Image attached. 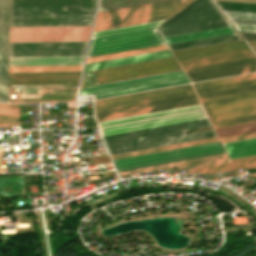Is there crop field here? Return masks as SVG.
Segmentation results:
<instances>
[{
  "label": "crop field",
  "instance_id": "crop-field-1",
  "mask_svg": "<svg viewBox=\"0 0 256 256\" xmlns=\"http://www.w3.org/2000/svg\"><path fill=\"white\" fill-rule=\"evenodd\" d=\"M193 85L215 128L256 121V72Z\"/></svg>",
  "mask_w": 256,
  "mask_h": 256
},
{
  "label": "crop field",
  "instance_id": "crop-field-2",
  "mask_svg": "<svg viewBox=\"0 0 256 256\" xmlns=\"http://www.w3.org/2000/svg\"><path fill=\"white\" fill-rule=\"evenodd\" d=\"M97 0H10V27L91 25Z\"/></svg>",
  "mask_w": 256,
  "mask_h": 256
},
{
  "label": "crop field",
  "instance_id": "crop-field-3",
  "mask_svg": "<svg viewBox=\"0 0 256 256\" xmlns=\"http://www.w3.org/2000/svg\"><path fill=\"white\" fill-rule=\"evenodd\" d=\"M199 103L192 85L187 84L97 100L94 107L99 122Z\"/></svg>",
  "mask_w": 256,
  "mask_h": 256
},
{
  "label": "crop field",
  "instance_id": "crop-field-4",
  "mask_svg": "<svg viewBox=\"0 0 256 256\" xmlns=\"http://www.w3.org/2000/svg\"><path fill=\"white\" fill-rule=\"evenodd\" d=\"M211 125L209 120H200L110 136L103 141L109 155L215 137L214 130L186 135L184 130Z\"/></svg>",
  "mask_w": 256,
  "mask_h": 256
},
{
  "label": "crop field",
  "instance_id": "crop-field-5",
  "mask_svg": "<svg viewBox=\"0 0 256 256\" xmlns=\"http://www.w3.org/2000/svg\"><path fill=\"white\" fill-rule=\"evenodd\" d=\"M164 21V20H163ZM163 21L151 22L135 26L123 27L107 31L95 32L92 38L105 35L117 34L133 30L145 29L159 26ZM156 28L133 31L117 35L94 38L91 40L88 56L112 53L139 47L162 44L163 41L156 33Z\"/></svg>",
  "mask_w": 256,
  "mask_h": 256
},
{
  "label": "crop field",
  "instance_id": "crop-field-6",
  "mask_svg": "<svg viewBox=\"0 0 256 256\" xmlns=\"http://www.w3.org/2000/svg\"><path fill=\"white\" fill-rule=\"evenodd\" d=\"M189 1L190 0H170L100 12L98 13L93 32L163 20L176 13Z\"/></svg>",
  "mask_w": 256,
  "mask_h": 256
},
{
  "label": "crop field",
  "instance_id": "crop-field-7",
  "mask_svg": "<svg viewBox=\"0 0 256 256\" xmlns=\"http://www.w3.org/2000/svg\"><path fill=\"white\" fill-rule=\"evenodd\" d=\"M207 117L201 104L155 113L99 122L101 135L151 128Z\"/></svg>",
  "mask_w": 256,
  "mask_h": 256
},
{
  "label": "crop field",
  "instance_id": "crop-field-8",
  "mask_svg": "<svg viewBox=\"0 0 256 256\" xmlns=\"http://www.w3.org/2000/svg\"><path fill=\"white\" fill-rule=\"evenodd\" d=\"M173 57L84 72L82 87L180 71Z\"/></svg>",
  "mask_w": 256,
  "mask_h": 256
},
{
  "label": "crop field",
  "instance_id": "crop-field-9",
  "mask_svg": "<svg viewBox=\"0 0 256 256\" xmlns=\"http://www.w3.org/2000/svg\"><path fill=\"white\" fill-rule=\"evenodd\" d=\"M223 152L224 150L220 142H217L126 159L114 160L112 162L116 170L119 171Z\"/></svg>",
  "mask_w": 256,
  "mask_h": 256
},
{
  "label": "crop field",
  "instance_id": "crop-field-10",
  "mask_svg": "<svg viewBox=\"0 0 256 256\" xmlns=\"http://www.w3.org/2000/svg\"><path fill=\"white\" fill-rule=\"evenodd\" d=\"M91 26L10 28V42L88 41Z\"/></svg>",
  "mask_w": 256,
  "mask_h": 256
},
{
  "label": "crop field",
  "instance_id": "crop-field-11",
  "mask_svg": "<svg viewBox=\"0 0 256 256\" xmlns=\"http://www.w3.org/2000/svg\"><path fill=\"white\" fill-rule=\"evenodd\" d=\"M87 43H10V57L84 56Z\"/></svg>",
  "mask_w": 256,
  "mask_h": 256
},
{
  "label": "crop field",
  "instance_id": "crop-field-12",
  "mask_svg": "<svg viewBox=\"0 0 256 256\" xmlns=\"http://www.w3.org/2000/svg\"><path fill=\"white\" fill-rule=\"evenodd\" d=\"M192 82L256 71V58H246L184 69Z\"/></svg>",
  "mask_w": 256,
  "mask_h": 256
},
{
  "label": "crop field",
  "instance_id": "crop-field-13",
  "mask_svg": "<svg viewBox=\"0 0 256 256\" xmlns=\"http://www.w3.org/2000/svg\"><path fill=\"white\" fill-rule=\"evenodd\" d=\"M187 82H189V80L187 79L185 74H182V75L152 79L147 81L117 85L112 87L82 91L80 92L79 95L96 94L94 98L96 99V98L108 97V96L125 94L130 92L142 91L147 89H153L158 87L170 86L175 84L187 83Z\"/></svg>",
  "mask_w": 256,
  "mask_h": 256
},
{
  "label": "crop field",
  "instance_id": "crop-field-14",
  "mask_svg": "<svg viewBox=\"0 0 256 256\" xmlns=\"http://www.w3.org/2000/svg\"><path fill=\"white\" fill-rule=\"evenodd\" d=\"M0 102L8 103V0H0Z\"/></svg>",
  "mask_w": 256,
  "mask_h": 256
},
{
  "label": "crop field",
  "instance_id": "crop-field-15",
  "mask_svg": "<svg viewBox=\"0 0 256 256\" xmlns=\"http://www.w3.org/2000/svg\"><path fill=\"white\" fill-rule=\"evenodd\" d=\"M246 49L247 47L245 46V44L241 40H238V41L208 45L203 47L173 51L172 54L177 59V61H180V60H186V59H192V58H198V57H204V56H210V55H216V54H222V53H228V52H234V51H240V50H246Z\"/></svg>",
  "mask_w": 256,
  "mask_h": 256
},
{
  "label": "crop field",
  "instance_id": "crop-field-16",
  "mask_svg": "<svg viewBox=\"0 0 256 256\" xmlns=\"http://www.w3.org/2000/svg\"><path fill=\"white\" fill-rule=\"evenodd\" d=\"M226 161H229V159L226 153H223V154L211 155V156L200 157L195 159L138 168L133 170L121 171L119 173L120 175H123V174H129L134 172H140V171L146 172V171L158 170V169L175 167V166H178V170H180V169H185L190 167H196V166H202V165H208V164H214V163H220V162H226Z\"/></svg>",
  "mask_w": 256,
  "mask_h": 256
},
{
  "label": "crop field",
  "instance_id": "crop-field-17",
  "mask_svg": "<svg viewBox=\"0 0 256 256\" xmlns=\"http://www.w3.org/2000/svg\"><path fill=\"white\" fill-rule=\"evenodd\" d=\"M79 73L10 75V84L78 83Z\"/></svg>",
  "mask_w": 256,
  "mask_h": 256
},
{
  "label": "crop field",
  "instance_id": "crop-field-18",
  "mask_svg": "<svg viewBox=\"0 0 256 256\" xmlns=\"http://www.w3.org/2000/svg\"><path fill=\"white\" fill-rule=\"evenodd\" d=\"M84 57L10 58V66L82 65Z\"/></svg>",
  "mask_w": 256,
  "mask_h": 256
},
{
  "label": "crop field",
  "instance_id": "crop-field-19",
  "mask_svg": "<svg viewBox=\"0 0 256 256\" xmlns=\"http://www.w3.org/2000/svg\"><path fill=\"white\" fill-rule=\"evenodd\" d=\"M231 162L210 165L205 167L193 168L189 170V173L200 172L201 174H212L221 171H230L238 168H256V155L244 158L232 159Z\"/></svg>",
  "mask_w": 256,
  "mask_h": 256
},
{
  "label": "crop field",
  "instance_id": "crop-field-20",
  "mask_svg": "<svg viewBox=\"0 0 256 256\" xmlns=\"http://www.w3.org/2000/svg\"><path fill=\"white\" fill-rule=\"evenodd\" d=\"M169 56H171V54L169 50H166V51L137 55L132 57L120 58L115 60L89 63V64H86L84 71L103 68V67H109V66H115V65H121V64H127V63H133V62H139V61H145V60H151V59H157V58H163V57H169Z\"/></svg>",
  "mask_w": 256,
  "mask_h": 256
},
{
  "label": "crop field",
  "instance_id": "crop-field-21",
  "mask_svg": "<svg viewBox=\"0 0 256 256\" xmlns=\"http://www.w3.org/2000/svg\"><path fill=\"white\" fill-rule=\"evenodd\" d=\"M229 159L256 154V138L222 144Z\"/></svg>",
  "mask_w": 256,
  "mask_h": 256
},
{
  "label": "crop field",
  "instance_id": "crop-field-22",
  "mask_svg": "<svg viewBox=\"0 0 256 256\" xmlns=\"http://www.w3.org/2000/svg\"><path fill=\"white\" fill-rule=\"evenodd\" d=\"M251 56H253L252 53L249 50H246V51L180 61L179 64L182 66V68H185V67L209 64V63H215V62H221V61H227V60H233V59H239V58H245V57H251Z\"/></svg>",
  "mask_w": 256,
  "mask_h": 256
},
{
  "label": "crop field",
  "instance_id": "crop-field-23",
  "mask_svg": "<svg viewBox=\"0 0 256 256\" xmlns=\"http://www.w3.org/2000/svg\"><path fill=\"white\" fill-rule=\"evenodd\" d=\"M233 33H234L233 29L231 27H228V28L210 30L205 32L187 34L182 36L164 38L163 41L166 43V45H169V44L187 42L192 40L210 38V37L233 34Z\"/></svg>",
  "mask_w": 256,
  "mask_h": 256
},
{
  "label": "crop field",
  "instance_id": "crop-field-24",
  "mask_svg": "<svg viewBox=\"0 0 256 256\" xmlns=\"http://www.w3.org/2000/svg\"><path fill=\"white\" fill-rule=\"evenodd\" d=\"M217 141H219V140H218L217 137H215V138H209V139H203V140H198V141L186 142V143H181V144L169 145V146H164V147H158V148L146 149V150H141V151L129 152V153H124V154L112 155L110 157H111L112 160H114V159L126 158V157H131V156L143 155V154H148V153L160 152V151H165V150L183 148V147L200 145V144L217 142Z\"/></svg>",
  "mask_w": 256,
  "mask_h": 256
},
{
  "label": "crop field",
  "instance_id": "crop-field-25",
  "mask_svg": "<svg viewBox=\"0 0 256 256\" xmlns=\"http://www.w3.org/2000/svg\"><path fill=\"white\" fill-rule=\"evenodd\" d=\"M166 49H167V47L165 46V44L156 45V46L139 48V49L117 52V53H112V54L89 57V58H87L86 63L100 61V60H106V59H112V58H118V57H124V56H130V55H136V54H142V53H148V52H154V51H160V50H166Z\"/></svg>",
  "mask_w": 256,
  "mask_h": 256
},
{
  "label": "crop field",
  "instance_id": "crop-field-26",
  "mask_svg": "<svg viewBox=\"0 0 256 256\" xmlns=\"http://www.w3.org/2000/svg\"><path fill=\"white\" fill-rule=\"evenodd\" d=\"M0 126H20L18 104H0Z\"/></svg>",
  "mask_w": 256,
  "mask_h": 256
},
{
  "label": "crop field",
  "instance_id": "crop-field-27",
  "mask_svg": "<svg viewBox=\"0 0 256 256\" xmlns=\"http://www.w3.org/2000/svg\"><path fill=\"white\" fill-rule=\"evenodd\" d=\"M163 0H100L99 10L106 11L112 9H118L123 7L147 4L152 2H158Z\"/></svg>",
  "mask_w": 256,
  "mask_h": 256
},
{
  "label": "crop field",
  "instance_id": "crop-field-28",
  "mask_svg": "<svg viewBox=\"0 0 256 256\" xmlns=\"http://www.w3.org/2000/svg\"><path fill=\"white\" fill-rule=\"evenodd\" d=\"M77 88H39V98H75Z\"/></svg>",
  "mask_w": 256,
  "mask_h": 256
},
{
  "label": "crop field",
  "instance_id": "crop-field-29",
  "mask_svg": "<svg viewBox=\"0 0 256 256\" xmlns=\"http://www.w3.org/2000/svg\"><path fill=\"white\" fill-rule=\"evenodd\" d=\"M82 66L10 67V72L80 71Z\"/></svg>",
  "mask_w": 256,
  "mask_h": 256
},
{
  "label": "crop field",
  "instance_id": "crop-field-30",
  "mask_svg": "<svg viewBox=\"0 0 256 256\" xmlns=\"http://www.w3.org/2000/svg\"><path fill=\"white\" fill-rule=\"evenodd\" d=\"M218 136H227L250 131H256V122L215 129Z\"/></svg>",
  "mask_w": 256,
  "mask_h": 256
},
{
  "label": "crop field",
  "instance_id": "crop-field-31",
  "mask_svg": "<svg viewBox=\"0 0 256 256\" xmlns=\"http://www.w3.org/2000/svg\"><path fill=\"white\" fill-rule=\"evenodd\" d=\"M256 137V132L227 136L219 138L221 143Z\"/></svg>",
  "mask_w": 256,
  "mask_h": 256
},
{
  "label": "crop field",
  "instance_id": "crop-field-32",
  "mask_svg": "<svg viewBox=\"0 0 256 256\" xmlns=\"http://www.w3.org/2000/svg\"><path fill=\"white\" fill-rule=\"evenodd\" d=\"M238 31H245V32H256V25L252 24H238V23H233Z\"/></svg>",
  "mask_w": 256,
  "mask_h": 256
},
{
  "label": "crop field",
  "instance_id": "crop-field-33",
  "mask_svg": "<svg viewBox=\"0 0 256 256\" xmlns=\"http://www.w3.org/2000/svg\"><path fill=\"white\" fill-rule=\"evenodd\" d=\"M240 34L248 42L249 46H256V33L240 32Z\"/></svg>",
  "mask_w": 256,
  "mask_h": 256
},
{
  "label": "crop field",
  "instance_id": "crop-field-34",
  "mask_svg": "<svg viewBox=\"0 0 256 256\" xmlns=\"http://www.w3.org/2000/svg\"><path fill=\"white\" fill-rule=\"evenodd\" d=\"M75 102V100L9 101V103Z\"/></svg>",
  "mask_w": 256,
  "mask_h": 256
},
{
  "label": "crop field",
  "instance_id": "crop-field-35",
  "mask_svg": "<svg viewBox=\"0 0 256 256\" xmlns=\"http://www.w3.org/2000/svg\"><path fill=\"white\" fill-rule=\"evenodd\" d=\"M231 22H239V23H253L256 24V21H250V20H236V19H230Z\"/></svg>",
  "mask_w": 256,
  "mask_h": 256
},
{
  "label": "crop field",
  "instance_id": "crop-field-36",
  "mask_svg": "<svg viewBox=\"0 0 256 256\" xmlns=\"http://www.w3.org/2000/svg\"><path fill=\"white\" fill-rule=\"evenodd\" d=\"M221 1H237V2H252V3H256V0H221Z\"/></svg>",
  "mask_w": 256,
  "mask_h": 256
},
{
  "label": "crop field",
  "instance_id": "crop-field-37",
  "mask_svg": "<svg viewBox=\"0 0 256 256\" xmlns=\"http://www.w3.org/2000/svg\"><path fill=\"white\" fill-rule=\"evenodd\" d=\"M253 50H256V47H252Z\"/></svg>",
  "mask_w": 256,
  "mask_h": 256
},
{
  "label": "crop field",
  "instance_id": "crop-field-38",
  "mask_svg": "<svg viewBox=\"0 0 256 256\" xmlns=\"http://www.w3.org/2000/svg\"><path fill=\"white\" fill-rule=\"evenodd\" d=\"M256 53V52H255Z\"/></svg>",
  "mask_w": 256,
  "mask_h": 256
}]
</instances>
